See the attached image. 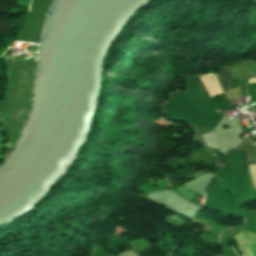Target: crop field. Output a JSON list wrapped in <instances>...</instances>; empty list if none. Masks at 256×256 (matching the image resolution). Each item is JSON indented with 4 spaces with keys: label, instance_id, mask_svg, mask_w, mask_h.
Wrapping results in <instances>:
<instances>
[{
    "label": "crop field",
    "instance_id": "2",
    "mask_svg": "<svg viewBox=\"0 0 256 256\" xmlns=\"http://www.w3.org/2000/svg\"><path fill=\"white\" fill-rule=\"evenodd\" d=\"M218 77H219V80L222 84L224 91L226 92V90L228 89L226 84L231 80V75H230L228 69L227 68L221 69L218 74Z\"/></svg>",
    "mask_w": 256,
    "mask_h": 256
},
{
    "label": "crop field",
    "instance_id": "1",
    "mask_svg": "<svg viewBox=\"0 0 256 256\" xmlns=\"http://www.w3.org/2000/svg\"><path fill=\"white\" fill-rule=\"evenodd\" d=\"M235 80L250 77L240 62L228 63Z\"/></svg>",
    "mask_w": 256,
    "mask_h": 256
}]
</instances>
